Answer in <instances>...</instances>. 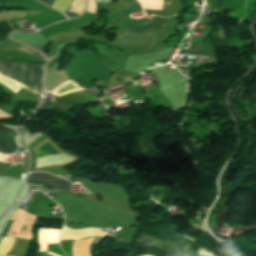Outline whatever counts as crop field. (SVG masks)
Masks as SVG:
<instances>
[{
    "mask_svg": "<svg viewBox=\"0 0 256 256\" xmlns=\"http://www.w3.org/2000/svg\"><path fill=\"white\" fill-rule=\"evenodd\" d=\"M72 1L73 0H55L52 7L65 14V12L69 9Z\"/></svg>",
    "mask_w": 256,
    "mask_h": 256,
    "instance_id": "obj_9",
    "label": "crop field"
},
{
    "mask_svg": "<svg viewBox=\"0 0 256 256\" xmlns=\"http://www.w3.org/2000/svg\"><path fill=\"white\" fill-rule=\"evenodd\" d=\"M122 33L153 36V26H133L123 29Z\"/></svg>",
    "mask_w": 256,
    "mask_h": 256,
    "instance_id": "obj_5",
    "label": "crop field"
},
{
    "mask_svg": "<svg viewBox=\"0 0 256 256\" xmlns=\"http://www.w3.org/2000/svg\"><path fill=\"white\" fill-rule=\"evenodd\" d=\"M15 238L3 237L0 243V255H7L14 244Z\"/></svg>",
    "mask_w": 256,
    "mask_h": 256,
    "instance_id": "obj_6",
    "label": "crop field"
},
{
    "mask_svg": "<svg viewBox=\"0 0 256 256\" xmlns=\"http://www.w3.org/2000/svg\"><path fill=\"white\" fill-rule=\"evenodd\" d=\"M19 151L14 141V133L0 125V152L16 153Z\"/></svg>",
    "mask_w": 256,
    "mask_h": 256,
    "instance_id": "obj_3",
    "label": "crop field"
},
{
    "mask_svg": "<svg viewBox=\"0 0 256 256\" xmlns=\"http://www.w3.org/2000/svg\"><path fill=\"white\" fill-rule=\"evenodd\" d=\"M9 21V20H8ZM11 24V23H10ZM12 25V24H11ZM15 29V28H14ZM13 31L12 27L8 24L7 21L0 22V42H4L7 34Z\"/></svg>",
    "mask_w": 256,
    "mask_h": 256,
    "instance_id": "obj_8",
    "label": "crop field"
},
{
    "mask_svg": "<svg viewBox=\"0 0 256 256\" xmlns=\"http://www.w3.org/2000/svg\"><path fill=\"white\" fill-rule=\"evenodd\" d=\"M0 1H2V0H0Z\"/></svg>",
    "mask_w": 256,
    "mask_h": 256,
    "instance_id": "obj_14",
    "label": "crop field"
},
{
    "mask_svg": "<svg viewBox=\"0 0 256 256\" xmlns=\"http://www.w3.org/2000/svg\"><path fill=\"white\" fill-rule=\"evenodd\" d=\"M120 2L129 10L132 11L133 8H141L136 0H120Z\"/></svg>",
    "mask_w": 256,
    "mask_h": 256,
    "instance_id": "obj_11",
    "label": "crop field"
},
{
    "mask_svg": "<svg viewBox=\"0 0 256 256\" xmlns=\"http://www.w3.org/2000/svg\"><path fill=\"white\" fill-rule=\"evenodd\" d=\"M166 21L167 18L153 17L151 23L154 25L155 29L162 30Z\"/></svg>",
    "mask_w": 256,
    "mask_h": 256,
    "instance_id": "obj_10",
    "label": "crop field"
},
{
    "mask_svg": "<svg viewBox=\"0 0 256 256\" xmlns=\"http://www.w3.org/2000/svg\"><path fill=\"white\" fill-rule=\"evenodd\" d=\"M173 1H174V0H163L162 11L144 9V10H145V13H148V14H159V15H166V14H169L170 7H171Z\"/></svg>",
    "mask_w": 256,
    "mask_h": 256,
    "instance_id": "obj_7",
    "label": "crop field"
},
{
    "mask_svg": "<svg viewBox=\"0 0 256 256\" xmlns=\"http://www.w3.org/2000/svg\"><path fill=\"white\" fill-rule=\"evenodd\" d=\"M48 250H49V247H48ZM48 250H47V252H48ZM45 256H51V255H49V254H47V253H46V255H45Z\"/></svg>",
    "mask_w": 256,
    "mask_h": 256,
    "instance_id": "obj_13",
    "label": "crop field"
},
{
    "mask_svg": "<svg viewBox=\"0 0 256 256\" xmlns=\"http://www.w3.org/2000/svg\"><path fill=\"white\" fill-rule=\"evenodd\" d=\"M0 164H1V162H0Z\"/></svg>",
    "mask_w": 256,
    "mask_h": 256,
    "instance_id": "obj_15",
    "label": "crop field"
},
{
    "mask_svg": "<svg viewBox=\"0 0 256 256\" xmlns=\"http://www.w3.org/2000/svg\"><path fill=\"white\" fill-rule=\"evenodd\" d=\"M27 183L43 184L54 189L71 190L70 182L47 173H32L27 178Z\"/></svg>",
    "mask_w": 256,
    "mask_h": 256,
    "instance_id": "obj_2",
    "label": "crop field"
},
{
    "mask_svg": "<svg viewBox=\"0 0 256 256\" xmlns=\"http://www.w3.org/2000/svg\"><path fill=\"white\" fill-rule=\"evenodd\" d=\"M61 230L39 228V251L46 252L47 244L58 243Z\"/></svg>",
    "mask_w": 256,
    "mask_h": 256,
    "instance_id": "obj_4",
    "label": "crop field"
},
{
    "mask_svg": "<svg viewBox=\"0 0 256 256\" xmlns=\"http://www.w3.org/2000/svg\"><path fill=\"white\" fill-rule=\"evenodd\" d=\"M40 1H42L43 3L50 5V6H52V4L54 2V0H40Z\"/></svg>",
    "mask_w": 256,
    "mask_h": 256,
    "instance_id": "obj_12",
    "label": "crop field"
},
{
    "mask_svg": "<svg viewBox=\"0 0 256 256\" xmlns=\"http://www.w3.org/2000/svg\"><path fill=\"white\" fill-rule=\"evenodd\" d=\"M43 67L44 64L6 63L0 60V73L8 78L19 81L28 89L41 94H43V83L41 80Z\"/></svg>",
    "mask_w": 256,
    "mask_h": 256,
    "instance_id": "obj_1",
    "label": "crop field"
}]
</instances>
